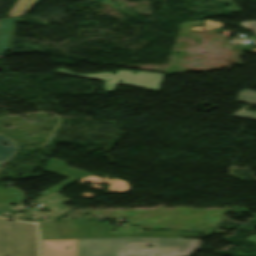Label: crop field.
<instances>
[{"mask_svg":"<svg viewBox=\"0 0 256 256\" xmlns=\"http://www.w3.org/2000/svg\"><path fill=\"white\" fill-rule=\"evenodd\" d=\"M90 217H84V220L65 219L61 223L48 220L38 224L41 231L42 239L48 238H99V237H126L128 233H133L134 237H173L178 238L179 234L184 236H198V233H184L174 231H147L144 232L141 228L130 226L127 233L108 234V223H88ZM70 220V221H67ZM80 222V223H78ZM88 223V225H86ZM122 229V228H120ZM134 229V231H131ZM172 232V233H170ZM153 233V235H151ZM174 233V235H173ZM159 234V235H157Z\"/></svg>","mask_w":256,"mask_h":256,"instance_id":"ac0d7876","label":"crop field"},{"mask_svg":"<svg viewBox=\"0 0 256 256\" xmlns=\"http://www.w3.org/2000/svg\"><path fill=\"white\" fill-rule=\"evenodd\" d=\"M247 241L256 243V237L255 236H250V237H248Z\"/></svg>","mask_w":256,"mask_h":256,"instance_id":"cbeb9de0","label":"crop field"},{"mask_svg":"<svg viewBox=\"0 0 256 256\" xmlns=\"http://www.w3.org/2000/svg\"><path fill=\"white\" fill-rule=\"evenodd\" d=\"M3 140L6 141L9 144V146L2 145L1 142ZM14 146V143L9 137L0 135V162L9 158L11 153L15 150Z\"/></svg>","mask_w":256,"mask_h":256,"instance_id":"3316defc","label":"crop field"},{"mask_svg":"<svg viewBox=\"0 0 256 256\" xmlns=\"http://www.w3.org/2000/svg\"><path fill=\"white\" fill-rule=\"evenodd\" d=\"M83 193H84V192H83ZM93 195H94V194L87 192V193H84V194L80 195L79 197L88 199V198H90V197L93 196Z\"/></svg>","mask_w":256,"mask_h":256,"instance_id":"22f410ed","label":"crop field"},{"mask_svg":"<svg viewBox=\"0 0 256 256\" xmlns=\"http://www.w3.org/2000/svg\"><path fill=\"white\" fill-rule=\"evenodd\" d=\"M76 248L77 239L42 240V256H76Z\"/></svg>","mask_w":256,"mask_h":256,"instance_id":"f4fd0767","label":"crop field"},{"mask_svg":"<svg viewBox=\"0 0 256 256\" xmlns=\"http://www.w3.org/2000/svg\"><path fill=\"white\" fill-rule=\"evenodd\" d=\"M222 23L220 22H214L211 20H207L206 25H204L203 27H194V28H190L192 30L197 29V30H202V29H211V28H218V27H222Z\"/></svg>","mask_w":256,"mask_h":256,"instance_id":"28ad6ade","label":"crop field"},{"mask_svg":"<svg viewBox=\"0 0 256 256\" xmlns=\"http://www.w3.org/2000/svg\"><path fill=\"white\" fill-rule=\"evenodd\" d=\"M251 52H255L256 53V50H252Z\"/></svg>","mask_w":256,"mask_h":256,"instance_id":"733c2abd","label":"crop field"},{"mask_svg":"<svg viewBox=\"0 0 256 256\" xmlns=\"http://www.w3.org/2000/svg\"><path fill=\"white\" fill-rule=\"evenodd\" d=\"M251 96H254V98H250ZM238 101L251 103V104L256 105V92L243 90V91L239 92ZM249 107H244L243 109H241L239 112H237L233 116L242 117V118H249V119H256V113L245 111Z\"/></svg>","mask_w":256,"mask_h":256,"instance_id":"d8731c3e","label":"crop field"},{"mask_svg":"<svg viewBox=\"0 0 256 256\" xmlns=\"http://www.w3.org/2000/svg\"><path fill=\"white\" fill-rule=\"evenodd\" d=\"M241 27H244L246 29L253 31L256 36V22H249Z\"/></svg>","mask_w":256,"mask_h":256,"instance_id":"d1516ede","label":"crop field"},{"mask_svg":"<svg viewBox=\"0 0 256 256\" xmlns=\"http://www.w3.org/2000/svg\"><path fill=\"white\" fill-rule=\"evenodd\" d=\"M28 1L29 0H17L7 16L23 15V13L27 11L36 0Z\"/></svg>","mask_w":256,"mask_h":256,"instance_id":"5a996713","label":"crop field"},{"mask_svg":"<svg viewBox=\"0 0 256 256\" xmlns=\"http://www.w3.org/2000/svg\"><path fill=\"white\" fill-rule=\"evenodd\" d=\"M98 174H100V173H98ZM101 175H103V174H101ZM104 176H105L104 179H101L99 177L91 175V176L81 179L80 184L88 186V187L96 188L99 190H101L103 188V186L96 185V184H94L95 182L100 183V184L106 183V184L111 185L110 187H108V190L105 192L123 193L124 191L130 189L125 180H121V179H117V178H113V177H111L112 179H109V178H107L108 177L107 175H104ZM85 181L92 182L93 184L92 185L86 184V183H84ZM104 188H106V187H104Z\"/></svg>","mask_w":256,"mask_h":256,"instance_id":"dd49c442","label":"crop field"},{"mask_svg":"<svg viewBox=\"0 0 256 256\" xmlns=\"http://www.w3.org/2000/svg\"><path fill=\"white\" fill-rule=\"evenodd\" d=\"M199 245H196V243ZM153 245L149 248L147 245ZM198 239L100 238L78 239L77 256H189Z\"/></svg>","mask_w":256,"mask_h":256,"instance_id":"8a807250","label":"crop field"},{"mask_svg":"<svg viewBox=\"0 0 256 256\" xmlns=\"http://www.w3.org/2000/svg\"><path fill=\"white\" fill-rule=\"evenodd\" d=\"M222 34L224 35V37L226 38V40H228V35H229V32H222Z\"/></svg>","mask_w":256,"mask_h":256,"instance_id":"5142ce71","label":"crop field"},{"mask_svg":"<svg viewBox=\"0 0 256 256\" xmlns=\"http://www.w3.org/2000/svg\"><path fill=\"white\" fill-rule=\"evenodd\" d=\"M0 256H38L35 224L0 218Z\"/></svg>","mask_w":256,"mask_h":256,"instance_id":"34b2d1b8","label":"crop field"},{"mask_svg":"<svg viewBox=\"0 0 256 256\" xmlns=\"http://www.w3.org/2000/svg\"><path fill=\"white\" fill-rule=\"evenodd\" d=\"M65 215H59V216H56V217H53V218H62L64 217Z\"/></svg>","mask_w":256,"mask_h":256,"instance_id":"d9b57169","label":"crop field"},{"mask_svg":"<svg viewBox=\"0 0 256 256\" xmlns=\"http://www.w3.org/2000/svg\"><path fill=\"white\" fill-rule=\"evenodd\" d=\"M18 20L19 17L2 19L0 27V54L5 53L11 47L15 25Z\"/></svg>","mask_w":256,"mask_h":256,"instance_id":"e52e79f7","label":"crop field"},{"mask_svg":"<svg viewBox=\"0 0 256 256\" xmlns=\"http://www.w3.org/2000/svg\"><path fill=\"white\" fill-rule=\"evenodd\" d=\"M57 72L73 76L105 80L103 89L106 92L114 91L117 84L128 85L134 87L145 88L146 90L157 91L164 74L148 71H140L137 74H132V71H115L116 75L112 72L108 73H95V74H75L66 69H58ZM105 76H108L107 78ZM109 79L110 81H107ZM121 80L122 82H118Z\"/></svg>","mask_w":256,"mask_h":256,"instance_id":"412701ff","label":"crop field"}]
</instances>
